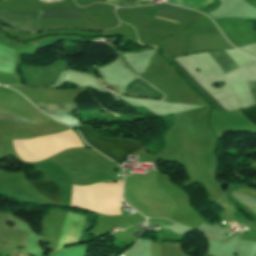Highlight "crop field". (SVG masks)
Wrapping results in <instances>:
<instances>
[{"label":"crop field","instance_id":"obj_1","mask_svg":"<svg viewBox=\"0 0 256 256\" xmlns=\"http://www.w3.org/2000/svg\"><path fill=\"white\" fill-rule=\"evenodd\" d=\"M77 129L81 132L84 140L91 147L105 154L119 165L126 160L127 156L141 148L136 142L97 136L86 126Z\"/></svg>","mask_w":256,"mask_h":256},{"label":"crop field","instance_id":"obj_2","mask_svg":"<svg viewBox=\"0 0 256 256\" xmlns=\"http://www.w3.org/2000/svg\"><path fill=\"white\" fill-rule=\"evenodd\" d=\"M38 108H41L43 112L49 114L54 119L61 121L72 127L82 125L73 115L72 112L75 109L73 101L64 103H33Z\"/></svg>","mask_w":256,"mask_h":256},{"label":"crop field","instance_id":"obj_3","mask_svg":"<svg viewBox=\"0 0 256 256\" xmlns=\"http://www.w3.org/2000/svg\"><path fill=\"white\" fill-rule=\"evenodd\" d=\"M0 15L36 20V13L8 9L1 6H0ZM3 16H0V18L4 19L3 21L5 23H8L14 29L23 30V31H35L36 21L9 18V17H3Z\"/></svg>","mask_w":256,"mask_h":256},{"label":"crop field","instance_id":"obj_4","mask_svg":"<svg viewBox=\"0 0 256 256\" xmlns=\"http://www.w3.org/2000/svg\"><path fill=\"white\" fill-rule=\"evenodd\" d=\"M82 11L75 10H44L39 11L38 24L50 22H69L80 24Z\"/></svg>","mask_w":256,"mask_h":256},{"label":"crop field","instance_id":"obj_5","mask_svg":"<svg viewBox=\"0 0 256 256\" xmlns=\"http://www.w3.org/2000/svg\"><path fill=\"white\" fill-rule=\"evenodd\" d=\"M186 13H187V9H184V8L178 7V6L161 3L160 8L155 17L164 19V20L174 21V22L178 23L185 17ZM166 22H169V21H166ZM174 22H170V23H174ZM176 23H174V24H176Z\"/></svg>","mask_w":256,"mask_h":256},{"label":"crop field","instance_id":"obj_6","mask_svg":"<svg viewBox=\"0 0 256 256\" xmlns=\"http://www.w3.org/2000/svg\"><path fill=\"white\" fill-rule=\"evenodd\" d=\"M124 89L138 96L162 99V95L159 92L138 78L131 81Z\"/></svg>","mask_w":256,"mask_h":256},{"label":"crop field","instance_id":"obj_7","mask_svg":"<svg viewBox=\"0 0 256 256\" xmlns=\"http://www.w3.org/2000/svg\"><path fill=\"white\" fill-rule=\"evenodd\" d=\"M38 192L45 197L58 203L59 190L58 186L52 181L29 182Z\"/></svg>","mask_w":256,"mask_h":256},{"label":"crop field","instance_id":"obj_8","mask_svg":"<svg viewBox=\"0 0 256 256\" xmlns=\"http://www.w3.org/2000/svg\"><path fill=\"white\" fill-rule=\"evenodd\" d=\"M213 58L218 62L223 74L236 68L231 58L224 52L210 53Z\"/></svg>","mask_w":256,"mask_h":256},{"label":"crop field","instance_id":"obj_9","mask_svg":"<svg viewBox=\"0 0 256 256\" xmlns=\"http://www.w3.org/2000/svg\"><path fill=\"white\" fill-rule=\"evenodd\" d=\"M167 2L188 8H200L213 2V0H169Z\"/></svg>","mask_w":256,"mask_h":256},{"label":"crop field","instance_id":"obj_10","mask_svg":"<svg viewBox=\"0 0 256 256\" xmlns=\"http://www.w3.org/2000/svg\"><path fill=\"white\" fill-rule=\"evenodd\" d=\"M240 112L253 124L256 125V106L244 110H240Z\"/></svg>","mask_w":256,"mask_h":256},{"label":"crop field","instance_id":"obj_11","mask_svg":"<svg viewBox=\"0 0 256 256\" xmlns=\"http://www.w3.org/2000/svg\"><path fill=\"white\" fill-rule=\"evenodd\" d=\"M0 120H7V121H10V122H14V123H18L20 125H28V124H31L21 118H18V117H14V116H11V115H6V114H0Z\"/></svg>","mask_w":256,"mask_h":256},{"label":"crop field","instance_id":"obj_12","mask_svg":"<svg viewBox=\"0 0 256 256\" xmlns=\"http://www.w3.org/2000/svg\"><path fill=\"white\" fill-rule=\"evenodd\" d=\"M250 93L252 94L253 98L256 101V82H250V83H246Z\"/></svg>","mask_w":256,"mask_h":256},{"label":"crop field","instance_id":"obj_13","mask_svg":"<svg viewBox=\"0 0 256 256\" xmlns=\"http://www.w3.org/2000/svg\"><path fill=\"white\" fill-rule=\"evenodd\" d=\"M139 3H135V2H118L117 6L121 7V6H138Z\"/></svg>","mask_w":256,"mask_h":256},{"label":"crop field","instance_id":"obj_14","mask_svg":"<svg viewBox=\"0 0 256 256\" xmlns=\"http://www.w3.org/2000/svg\"><path fill=\"white\" fill-rule=\"evenodd\" d=\"M107 3H109V4H113V5H115V6H116V4H117V0H107Z\"/></svg>","mask_w":256,"mask_h":256},{"label":"crop field","instance_id":"obj_15","mask_svg":"<svg viewBox=\"0 0 256 256\" xmlns=\"http://www.w3.org/2000/svg\"><path fill=\"white\" fill-rule=\"evenodd\" d=\"M122 187V186H121Z\"/></svg>","mask_w":256,"mask_h":256}]
</instances>
